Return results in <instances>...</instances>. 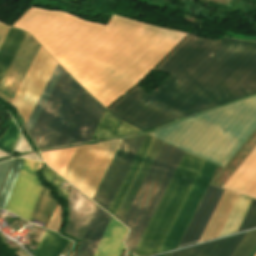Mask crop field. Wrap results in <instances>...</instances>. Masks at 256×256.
Masks as SVG:
<instances>
[{"instance_id":"crop-field-1","label":"crop field","mask_w":256,"mask_h":256,"mask_svg":"<svg viewBox=\"0 0 256 256\" xmlns=\"http://www.w3.org/2000/svg\"><path fill=\"white\" fill-rule=\"evenodd\" d=\"M13 27L29 32L105 108L156 67L186 36L116 16L104 26L63 12L35 8Z\"/></svg>"},{"instance_id":"crop-field-2","label":"crop field","mask_w":256,"mask_h":256,"mask_svg":"<svg viewBox=\"0 0 256 256\" xmlns=\"http://www.w3.org/2000/svg\"><path fill=\"white\" fill-rule=\"evenodd\" d=\"M156 70L171 75L159 89L137 86L107 110L145 131L254 94L256 43L188 35Z\"/></svg>"},{"instance_id":"crop-field-3","label":"crop field","mask_w":256,"mask_h":256,"mask_svg":"<svg viewBox=\"0 0 256 256\" xmlns=\"http://www.w3.org/2000/svg\"><path fill=\"white\" fill-rule=\"evenodd\" d=\"M255 128L252 96L149 134L224 166Z\"/></svg>"},{"instance_id":"crop-field-4","label":"crop field","mask_w":256,"mask_h":256,"mask_svg":"<svg viewBox=\"0 0 256 256\" xmlns=\"http://www.w3.org/2000/svg\"><path fill=\"white\" fill-rule=\"evenodd\" d=\"M203 163L204 160L184 153L134 253L140 256L158 254Z\"/></svg>"},{"instance_id":"crop-field-5","label":"crop field","mask_w":256,"mask_h":256,"mask_svg":"<svg viewBox=\"0 0 256 256\" xmlns=\"http://www.w3.org/2000/svg\"><path fill=\"white\" fill-rule=\"evenodd\" d=\"M182 154L183 151L162 143L122 222L131 229L124 241L129 250H134Z\"/></svg>"},{"instance_id":"crop-field-6","label":"crop field","mask_w":256,"mask_h":256,"mask_svg":"<svg viewBox=\"0 0 256 256\" xmlns=\"http://www.w3.org/2000/svg\"><path fill=\"white\" fill-rule=\"evenodd\" d=\"M222 192H223V189H219L209 185L178 248L197 243ZM237 197H238V194L224 190L198 242H202V241H206V240H210L218 237Z\"/></svg>"},{"instance_id":"crop-field-7","label":"crop field","mask_w":256,"mask_h":256,"mask_svg":"<svg viewBox=\"0 0 256 256\" xmlns=\"http://www.w3.org/2000/svg\"><path fill=\"white\" fill-rule=\"evenodd\" d=\"M68 75L58 64L26 124L37 146L73 80Z\"/></svg>"},{"instance_id":"crop-field-8","label":"crop field","mask_w":256,"mask_h":256,"mask_svg":"<svg viewBox=\"0 0 256 256\" xmlns=\"http://www.w3.org/2000/svg\"><path fill=\"white\" fill-rule=\"evenodd\" d=\"M144 136L121 141L94 197L96 203L108 211Z\"/></svg>"},{"instance_id":"crop-field-9","label":"crop field","mask_w":256,"mask_h":256,"mask_svg":"<svg viewBox=\"0 0 256 256\" xmlns=\"http://www.w3.org/2000/svg\"><path fill=\"white\" fill-rule=\"evenodd\" d=\"M104 110L83 89L54 146L89 140Z\"/></svg>"},{"instance_id":"crop-field-10","label":"crop field","mask_w":256,"mask_h":256,"mask_svg":"<svg viewBox=\"0 0 256 256\" xmlns=\"http://www.w3.org/2000/svg\"><path fill=\"white\" fill-rule=\"evenodd\" d=\"M217 166L205 161L159 253L176 249L217 169Z\"/></svg>"},{"instance_id":"crop-field-11","label":"crop field","mask_w":256,"mask_h":256,"mask_svg":"<svg viewBox=\"0 0 256 256\" xmlns=\"http://www.w3.org/2000/svg\"><path fill=\"white\" fill-rule=\"evenodd\" d=\"M41 162H35L25 159L12 197L10 199L7 211L13 212L25 220H29L36 196L42 186L38 181L37 172Z\"/></svg>"},{"instance_id":"crop-field-12","label":"crop field","mask_w":256,"mask_h":256,"mask_svg":"<svg viewBox=\"0 0 256 256\" xmlns=\"http://www.w3.org/2000/svg\"><path fill=\"white\" fill-rule=\"evenodd\" d=\"M37 42L26 33L12 62L0 82V96L11 103L38 49Z\"/></svg>"},{"instance_id":"crop-field-13","label":"crop field","mask_w":256,"mask_h":256,"mask_svg":"<svg viewBox=\"0 0 256 256\" xmlns=\"http://www.w3.org/2000/svg\"><path fill=\"white\" fill-rule=\"evenodd\" d=\"M68 206L69 223L65 233L81 240L97 205L71 187L68 194Z\"/></svg>"},{"instance_id":"crop-field-14","label":"crop field","mask_w":256,"mask_h":256,"mask_svg":"<svg viewBox=\"0 0 256 256\" xmlns=\"http://www.w3.org/2000/svg\"><path fill=\"white\" fill-rule=\"evenodd\" d=\"M82 89L83 88L73 80L68 92L66 93L61 105L59 106L53 120L51 121L39 144V148L53 146Z\"/></svg>"},{"instance_id":"crop-field-15","label":"crop field","mask_w":256,"mask_h":256,"mask_svg":"<svg viewBox=\"0 0 256 256\" xmlns=\"http://www.w3.org/2000/svg\"><path fill=\"white\" fill-rule=\"evenodd\" d=\"M246 234L175 251L170 256H231Z\"/></svg>"},{"instance_id":"crop-field-16","label":"crop field","mask_w":256,"mask_h":256,"mask_svg":"<svg viewBox=\"0 0 256 256\" xmlns=\"http://www.w3.org/2000/svg\"><path fill=\"white\" fill-rule=\"evenodd\" d=\"M111 216L97 207L75 256H93Z\"/></svg>"},{"instance_id":"crop-field-17","label":"crop field","mask_w":256,"mask_h":256,"mask_svg":"<svg viewBox=\"0 0 256 256\" xmlns=\"http://www.w3.org/2000/svg\"><path fill=\"white\" fill-rule=\"evenodd\" d=\"M124 227L111 218L94 256H119L125 248L122 241L128 231Z\"/></svg>"},{"instance_id":"crop-field-18","label":"crop field","mask_w":256,"mask_h":256,"mask_svg":"<svg viewBox=\"0 0 256 256\" xmlns=\"http://www.w3.org/2000/svg\"><path fill=\"white\" fill-rule=\"evenodd\" d=\"M256 179V147L233 173L223 188L244 194Z\"/></svg>"},{"instance_id":"crop-field-19","label":"crop field","mask_w":256,"mask_h":256,"mask_svg":"<svg viewBox=\"0 0 256 256\" xmlns=\"http://www.w3.org/2000/svg\"><path fill=\"white\" fill-rule=\"evenodd\" d=\"M155 138L149 136V135H146L110 209H109V213L112 214L114 217L127 193V191L129 190L140 166L142 165L153 141H154Z\"/></svg>"},{"instance_id":"crop-field-20","label":"crop field","mask_w":256,"mask_h":256,"mask_svg":"<svg viewBox=\"0 0 256 256\" xmlns=\"http://www.w3.org/2000/svg\"><path fill=\"white\" fill-rule=\"evenodd\" d=\"M140 130L122 122L105 110L90 140L122 137Z\"/></svg>"},{"instance_id":"crop-field-21","label":"crop field","mask_w":256,"mask_h":256,"mask_svg":"<svg viewBox=\"0 0 256 256\" xmlns=\"http://www.w3.org/2000/svg\"><path fill=\"white\" fill-rule=\"evenodd\" d=\"M161 143L162 142L155 139V141H154V143H153V145H152V147H151L143 165L141 166V168H140V170H139V172H138L130 190L128 191V193H127V195H126V197H125V199H124V201H123V203H122V205H121V207H120V209H119V211H118V213L115 217L119 221L122 222V220H123L128 208H129V206H130V204H131V202H132V200H133L141 182L143 181V179H144V177H145V175H146V173H147V171H148V169H149V167H150V165H151V163H152V161H153V159H154V157H155V155H156V153H157V151H158V149L161 145Z\"/></svg>"},{"instance_id":"crop-field-22","label":"crop field","mask_w":256,"mask_h":256,"mask_svg":"<svg viewBox=\"0 0 256 256\" xmlns=\"http://www.w3.org/2000/svg\"><path fill=\"white\" fill-rule=\"evenodd\" d=\"M24 35H25V32L19 29L10 27L0 47V80L3 77L9 63L11 62Z\"/></svg>"},{"instance_id":"crop-field-23","label":"crop field","mask_w":256,"mask_h":256,"mask_svg":"<svg viewBox=\"0 0 256 256\" xmlns=\"http://www.w3.org/2000/svg\"><path fill=\"white\" fill-rule=\"evenodd\" d=\"M71 241L60 235L46 230L34 256H59Z\"/></svg>"},{"instance_id":"crop-field-24","label":"crop field","mask_w":256,"mask_h":256,"mask_svg":"<svg viewBox=\"0 0 256 256\" xmlns=\"http://www.w3.org/2000/svg\"><path fill=\"white\" fill-rule=\"evenodd\" d=\"M57 203L56 199L50 194L49 189L42 187L29 222L32 223L36 219L46 223Z\"/></svg>"},{"instance_id":"crop-field-25","label":"crop field","mask_w":256,"mask_h":256,"mask_svg":"<svg viewBox=\"0 0 256 256\" xmlns=\"http://www.w3.org/2000/svg\"><path fill=\"white\" fill-rule=\"evenodd\" d=\"M24 159L18 158L10 162L4 183L0 191V208L6 209L14 184Z\"/></svg>"},{"instance_id":"crop-field-26","label":"crop field","mask_w":256,"mask_h":256,"mask_svg":"<svg viewBox=\"0 0 256 256\" xmlns=\"http://www.w3.org/2000/svg\"><path fill=\"white\" fill-rule=\"evenodd\" d=\"M20 136V131L10 118L8 128L6 131L0 136V150L10 154Z\"/></svg>"},{"instance_id":"crop-field-27","label":"crop field","mask_w":256,"mask_h":256,"mask_svg":"<svg viewBox=\"0 0 256 256\" xmlns=\"http://www.w3.org/2000/svg\"><path fill=\"white\" fill-rule=\"evenodd\" d=\"M256 245V230L248 232L232 256H248Z\"/></svg>"},{"instance_id":"crop-field-28","label":"crop field","mask_w":256,"mask_h":256,"mask_svg":"<svg viewBox=\"0 0 256 256\" xmlns=\"http://www.w3.org/2000/svg\"><path fill=\"white\" fill-rule=\"evenodd\" d=\"M43 174L46 178V181L56 187L58 195L67 199V192L59 186L65 180L62 179L59 175H57L55 172H53L47 166L44 168Z\"/></svg>"},{"instance_id":"crop-field-29","label":"crop field","mask_w":256,"mask_h":256,"mask_svg":"<svg viewBox=\"0 0 256 256\" xmlns=\"http://www.w3.org/2000/svg\"><path fill=\"white\" fill-rule=\"evenodd\" d=\"M256 227V200L254 199L239 230H245Z\"/></svg>"},{"instance_id":"crop-field-30","label":"crop field","mask_w":256,"mask_h":256,"mask_svg":"<svg viewBox=\"0 0 256 256\" xmlns=\"http://www.w3.org/2000/svg\"><path fill=\"white\" fill-rule=\"evenodd\" d=\"M9 161L0 163V187L4 178V175L6 173L7 167H8Z\"/></svg>"},{"instance_id":"crop-field-31","label":"crop field","mask_w":256,"mask_h":256,"mask_svg":"<svg viewBox=\"0 0 256 256\" xmlns=\"http://www.w3.org/2000/svg\"><path fill=\"white\" fill-rule=\"evenodd\" d=\"M8 29H9V26H6V25L0 23V45H1Z\"/></svg>"},{"instance_id":"crop-field-32","label":"crop field","mask_w":256,"mask_h":256,"mask_svg":"<svg viewBox=\"0 0 256 256\" xmlns=\"http://www.w3.org/2000/svg\"><path fill=\"white\" fill-rule=\"evenodd\" d=\"M245 195L255 197L256 198V180L254 183L250 186V188L246 191Z\"/></svg>"},{"instance_id":"crop-field-33","label":"crop field","mask_w":256,"mask_h":256,"mask_svg":"<svg viewBox=\"0 0 256 256\" xmlns=\"http://www.w3.org/2000/svg\"><path fill=\"white\" fill-rule=\"evenodd\" d=\"M43 232H44V229L40 228L39 232L37 233V235H36V237L34 239V242H37V243L39 242Z\"/></svg>"},{"instance_id":"crop-field-34","label":"crop field","mask_w":256,"mask_h":256,"mask_svg":"<svg viewBox=\"0 0 256 256\" xmlns=\"http://www.w3.org/2000/svg\"><path fill=\"white\" fill-rule=\"evenodd\" d=\"M255 254H256V246H255V248L253 249V251L250 253L249 256H254Z\"/></svg>"},{"instance_id":"crop-field-35","label":"crop field","mask_w":256,"mask_h":256,"mask_svg":"<svg viewBox=\"0 0 256 256\" xmlns=\"http://www.w3.org/2000/svg\"><path fill=\"white\" fill-rule=\"evenodd\" d=\"M256 256V255H255Z\"/></svg>"}]
</instances>
